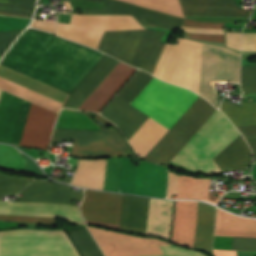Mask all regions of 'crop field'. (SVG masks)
Returning <instances> with one entry per match:
<instances>
[{"label": "crop field", "mask_w": 256, "mask_h": 256, "mask_svg": "<svg viewBox=\"0 0 256 256\" xmlns=\"http://www.w3.org/2000/svg\"><path fill=\"white\" fill-rule=\"evenodd\" d=\"M103 56L50 33L28 28L0 65L70 94Z\"/></svg>", "instance_id": "1"}, {"label": "crop field", "mask_w": 256, "mask_h": 256, "mask_svg": "<svg viewBox=\"0 0 256 256\" xmlns=\"http://www.w3.org/2000/svg\"><path fill=\"white\" fill-rule=\"evenodd\" d=\"M214 110L199 96L145 159L167 164ZM239 135L230 121L216 109L171 162L203 175L220 173L212 159Z\"/></svg>", "instance_id": "2"}, {"label": "crop field", "mask_w": 256, "mask_h": 256, "mask_svg": "<svg viewBox=\"0 0 256 256\" xmlns=\"http://www.w3.org/2000/svg\"><path fill=\"white\" fill-rule=\"evenodd\" d=\"M202 48V43L185 39L167 44L152 75L197 92ZM239 61V53L204 44L198 94L219 108L213 83L239 82Z\"/></svg>", "instance_id": "3"}, {"label": "crop field", "mask_w": 256, "mask_h": 256, "mask_svg": "<svg viewBox=\"0 0 256 256\" xmlns=\"http://www.w3.org/2000/svg\"><path fill=\"white\" fill-rule=\"evenodd\" d=\"M30 181L31 178L28 177L0 173V200L2 195H16ZM71 188L66 185L35 180L20 193L23 194V197L16 202L70 204L71 200H81L83 195L82 189H80V192H77L71 190ZM0 213L59 217L63 220L84 224L78 213V207L72 205L0 201Z\"/></svg>", "instance_id": "4"}, {"label": "crop field", "mask_w": 256, "mask_h": 256, "mask_svg": "<svg viewBox=\"0 0 256 256\" xmlns=\"http://www.w3.org/2000/svg\"><path fill=\"white\" fill-rule=\"evenodd\" d=\"M164 33L149 30L106 32L98 50L152 73L166 43Z\"/></svg>", "instance_id": "5"}, {"label": "crop field", "mask_w": 256, "mask_h": 256, "mask_svg": "<svg viewBox=\"0 0 256 256\" xmlns=\"http://www.w3.org/2000/svg\"><path fill=\"white\" fill-rule=\"evenodd\" d=\"M0 256H79L64 231L0 232Z\"/></svg>", "instance_id": "6"}, {"label": "crop field", "mask_w": 256, "mask_h": 256, "mask_svg": "<svg viewBox=\"0 0 256 256\" xmlns=\"http://www.w3.org/2000/svg\"><path fill=\"white\" fill-rule=\"evenodd\" d=\"M189 91L154 77L131 105L170 128L197 97Z\"/></svg>", "instance_id": "7"}, {"label": "crop field", "mask_w": 256, "mask_h": 256, "mask_svg": "<svg viewBox=\"0 0 256 256\" xmlns=\"http://www.w3.org/2000/svg\"><path fill=\"white\" fill-rule=\"evenodd\" d=\"M147 198L124 195L120 229L144 233L148 208ZM173 201H149L145 233L169 239Z\"/></svg>", "instance_id": "8"}, {"label": "crop field", "mask_w": 256, "mask_h": 256, "mask_svg": "<svg viewBox=\"0 0 256 256\" xmlns=\"http://www.w3.org/2000/svg\"><path fill=\"white\" fill-rule=\"evenodd\" d=\"M73 139L71 155L79 157H109L133 155L118 130L100 131L54 129L52 140Z\"/></svg>", "instance_id": "9"}, {"label": "crop field", "mask_w": 256, "mask_h": 256, "mask_svg": "<svg viewBox=\"0 0 256 256\" xmlns=\"http://www.w3.org/2000/svg\"><path fill=\"white\" fill-rule=\"evenodd\" d=\"M144 29L131 16L72 14L70 24L58 23L56 34L97 48L105 31Z\"/></svg>", "instance_id": "10"}, {"label": "crop field", "mask_w": 256, "mask_h": 256, "mask_svg": "<svg viewBox=\"0 0 256 256\" xmlns=\"http://www.w3.org/2000/svg\"><path fill=\"white\" fill-rule=\"evenodd\" d=\"M105 256H142L162 254L158 245L169 244L158 239L139 238L87 226Z\"/></svg>", "instance_id": "11"}, {"label": "crop field", "mask_w": 256, "mask_h": 256, "mask_svg": "<svg viewBox=\"0 0 256 256\" xmlns=\"http://www.w3.org/2000/svg\"><path fill=\"white\" fill-rule=\"evenodd\" d=\"M84 14H129L134 16L142 26L165 27L172 29H180L184 20L183 18L118 0H105L103 9H86ZM142 15L145 17L142 18Z\"/></svg>", "instance_id": "12"}, {"label": "crop field", "mask_w": 256, "mask_h": 256, "mask_svg": "<svg viewBox=\"0 0 256 256\" xmlns=\"http://www.w3.org/2000/svg\"><path fill=\"white\" fill-rule=\"evenodd\" d=\"M20 98L11 95L2 90L0 95V142H8L13 128L15 117L20 104ZM30 102L21 100L19 111L16 117L14 128L11 134L10 142L19 145Z\"/></svg>", "instance_id": "13"}, {"label": "crop field", "mask_w": 256, "mask_h": 256, "mask_svg": "<svg viewBox=\"0 0 256 256\" xmlns=\"http://www.w3.org/2000/svg\"><path fill=\"white\" fill-rule=\"evenodd\" d=\"M123 195L85 190L81 212L85 220L119 224Z\"/></svg>", "instance_id": "14"}, {"label": "crop field", "mask_w": 256, "mask_h": 256, "mask_svg": "<svg viewBox=\"0 0 256 256\" xmlns=\"http://www.w3.org/2000/svg\"><path fill=\"white\" fill-rule=\"evenodd\" d=\"M57 115L32 103L20 146L47 149L52 125Z\"/></svg>", "instance_id": "15"}, {"label": "crop field", "mask_w": 256, "mask_h": 256, "mask_svg": "<svg viewBox=\"0 0 256 256\" xmlns=\"http://www.w3.org/2000/svg\"><path fill=\"white\" fill-rule=\"evenodd\" d=\"M135 70L119 62L79 109L99 112Z\"/></svg>", "instance_id": "16"}, {"label": "crop field", "mask_w": 256, "mask_h": 256, "mask_svg": "<svg viewBox=\"0 0 256 256\" xmlns=\"http://www.w3.org/2000/svg\"><path fill=\"white\" fill-rule=\"evenodd\" d=\"M184 16L249 18L233 0H179Z\"/></svg>", "instance_id": "17"}, {"label": "crop field", "mask_w": 256, "mask_h": 256, "mask_svg": "<svg viewBox=\"0 0 256 256\" xmlns=\"http://www.w3.org/2000/svg\"><path fill=\"white\" fill-rule=\"evenodd\" d=\"M166 185L167 167L140 162L136 170L133 194L164 198Z\"/></svg>", "instance_id": "18"}, {"label": "crop field", "mask_w": 256, "mask_h": 256, "mask_svg": "<svg viewBox=\"0 0 256 256\" xmlns=\"http://www.w3.org/2000/svg\"><path fill=\"white\" fill-rule=\"evenodd\" d=\"M197 206L198 202L176 201L171 237L172 243L193 248Z\"/></svg>", "instance_id": "19"}, {"label": "crop field", "mask_w": 256, "mask_h": 256, "mask_svg": "<svg viewBox=\"0 0 256 256\" xmlns=\"http://www.w3.org/2000/svg\"><path fill=\"white\" fill-rule=\"evenodd\" d=\"M101 114L117 124L127 141L148 118L117 96Z\"/></svg>", "instance_id": "20"}, {"label": "crop field", "mask_w": 256, "mask_h": 256, "mask_svg": "<svg viewBox=\"0 0 256 256\" xmlns=\"http://www.w3.org/2000/svg\"><path fill=\"white\" fill-rule=\"evenodd\" d=\"M118 62L116 59L105 55L69 95L63 107L78 109Z\"/></svg>", "instance_id": "21"}, {"label": "crop field", "mask_w": 256, "mask_h": 256, "mask_svg": "<svg viewBox=\"0 0 256 256\" xmlns=\"http://www.w3.org/2000/svg\"><path fill=\"white\" fill-rule=\"evenodd\" d=\"M215 235L256 237V219L235 217L218 209Z\"/></svg>", "instance_id": "22"}, {"label": "crop field", "mask_w": 256, "mask_h": 256, "mask_svg": "<svg viewBox=\"0 0 256 256\" xmlns=\"http://www.w3.org/2000/svg\"><path fill=\"white\" fill-rule=\"evenodd\" d=\"M213 160L221 171L243 168L251 164V151L240 135Z\"/></svg>", "instance_id": "23"}, {"label": "crop field", "mask_w": 256, "mask_h": 256, "mask_svg": "<svg viewBox=\"0 0 256 256\" xmlns=\"http://www.w3.org/2000/svg\"><path fill=\"white\" fill-rule=\"evenodd\" d=\"M215 207L199 202L194 248L212 256Z\"/></svg>", "instance_id": "24"}, {"label": "crop field", "mask_w": 256, "mask_h": 256, "mask_svg": "<svg viewBox=\"0 0 256 256\" xmlns=\"http://www.w3.org/2000/svg\"><path fill=\"white\" fill-rule=\"evenodd\" d=\"M167 130V128L148 118L128 142L137 155L144 158Z\"/></svg>", "instance_id": "25"}, {"label": "crop field", "mask_w": 256, "mask_h": 256, "mask_svg": "<svg viewBox=\"0 0 256 256\" xmlns=\"http://www.w3.org/2000/svg\"><path fill=\"white\" fill-rule=\"evenodd\" d=\"M106 160H79L71 184L102 190Z\"/></svg>", "instance_id": "26"}, {"label": "crop field", "mask_w": 256, "mask_h": 256, "mask_svg": "<svg viewBox=\"0 0 256 256\" xmlns=\"http://www.w3.org/2000/svg\"><path fill=\"white\" fill-rule=\"evenodd\" d=\"M221 111L236 127L256 125V103L241 102V107H235L223 102Z\"/></svg>", "instance_id": "27"}, {"label": "crop field", "mask_w": 256, "mask_h": 256, "mask_svg": "<svg viewBox=\"0 0 256 256\" xmlns=\"http://www.w3.org/2000/svg\"><path fill=\"white\" fill-rule=\"evenodd\" d=\"M184 26H192V27H203V28H216V29H223L224 23H201L197 21L187 20L185 19L183 22ZM182 29H186L188 32L194 33H204V34H223V30H216V29H202V28H191V27H184ZM185 32L184 34L190 35L189 38L192 39H199V40H206V41H213V42H224L223 35H204V34H194Z\"/></svg>", "instance_id": "28"}, {"label": "crop field", "mask_w": 256, "mask_h": 256, "mask_svg": "<svg viewBox=\"0 0 256 256\" xmlns=\"http://www.w3.org/2000/svg\"><path fill=\"white\" fill-rule=\"evenodd\" d=\"M81 256H103L87 228L67 230Z\"/></svg>", "instance_id": "29"}, {"label": "crop field", "mask_w": 256, "mask_h": 256, "mask_svg": "<svg viewBox=\"0 0 256 256\" xmlns=\"http://www.w3.org/2000/svg\"><path fill=\"white\" fill-rule=\"evenodd\" d=\"M35 3L36 0H0V14L31 18Z\"/></svg>", "instance_id": "30"}, {"label": "crop field", "mask_w": 256, "mask_h": 256, "mask_svg": "<svg viewBox=\"0 0 256 256\" xmlns=\"http://www.w3.org/2000/svg\"><path fill=\"white\" fill-rule=\"evenodd\" d=\"M146 73L138 71L117 96L124 99L128 103H131L153 78V76Z\"/></svg>", "instance_id": "31"}, {"label": "crop field", "mask_w": 256, "mask_h": 256, "mask_svg": "<svg viewBox=\"0 0 256 256\" xmlns=\"http://www.w3.org/2000/svg\"><path fill=\"white\" fill-rule=\"evenodd\" d=\"M25 161L12 146L0 144V167L7 170L23 171Z\"/></svg>", "instance_id": "32"}, {"label": "crop field", "mask_w": 256, "mask_h": 256, "mask_svg": "<svg viewBox=\"0 0 256 256\" xmlns=\"http://www.w3.org/2000/svg\"><path fill=\"white\" fill-rule=\"evenodd\" d=\"M179 17H183L178 0H123ZM184 18V17H183Z\"/></svg>", "instance_id": "33"}, {"label": "crop field", "mask_w": 256, "mask_h": 256, "mask_svg": "<svg viewBox=\"0 0 256 256\" xmlns=\"http://www.w3.org/2000/svg\"><path fill=\"white\" fill-rule=\"evenodd\" d=\"M120 162L121 158L107 159L103 190L117 192Z\"/></svg>", "instance_id": "34"}, {"label": "crop field", "mask_w": 256, "mask_h": 256, "mask_svg": "<svg viewBox=\"0 0 256 256\" xmlns=\"http://www.w3.org/2000/svg\"><path fill=\"white\" fill-rule=\"evenodd\" d=\"M241 89L244 94L256 93V65L241 67Z\"/></svg>", "instance_id": "35"}, {"label": "crop field", "mask_w": 256, "mask_h": 256, "mask_svg": "<svg viewBox=\"0 0 256 256\" xmlns=\"http://www.w3.org/2000/svg\"><path fill=\"white\" fill-rule=\"evenodd\" d=\"M209 182L207 178H195L192 199H203L216 204L219 197L212 196V192H208Z\"/></svg>", "instance_id": "36"}, {"label": "crop field", "mask_w": 256, "mask_h": 256, "mask_svg": "<svg viewBox=\"0 0 256 256\" xmlns=\"http://www.w3.org/2000/svg\"><path fill=\"white\" fill-rule=\"evenodd\" d=\"M194 178L180 175L177 198L191 199L193 191Z\"/></svg>", "instance_id": "37"}, {"label": "crop field", "mask_w": 256, "mask_h": 256, "mask_svg": "<svg viewBox=\"0 0 256 256\" xmlns=\"http://www.w3.org/2000/svg\"><path fill=\"white\" fill-rule=\"evenodd\" d=\"M164 255L156 256H205L199 252L190 251L185 248H178L173 245L160 246Z\"/></svg>", "instance_id": "38"}, {"label": "crop field", "mask_w": 256, "mask_h": 256, "mask_svg": "<svg viewBox=\"0 0 256 256\" xmlns=\"http://www.w3.org/2000/svg\"><path fill=\"white\" fill-rule=\"evenodd\" d=\"M231 249L243 251H256V238L233 237Z\"/></svg>", "instance_id": "39"}, {"label": "crop field", "mask_w": 256, "mask_h": 256, "mask_svg": "<svg viewBox=\"0 0 256 256\" xmlns=\"http://www.w3.org/2000/svg\"><path fill=\"white\" fill-rule=\"evenodd\" d=\"M22 31L23 30L0 33V56L5 53L7 48Z\"/></svg>", "instance_id": "40"}, {"label": "crop field", "mask_w": 256, "mask_h": 256, "mask_svg": "<svg viewBox=\"0 0 256 256\" xmlns=\"http://www.w3.org/2000/svg\"><path fill=\"white\" fill-rule=\"evenodd\" d=\"M0 220H14V221H25V222L55 223L54 219H52V218L24 217V216H13V215H2V214H0Z\"/></svg>", "instance_id": "41"}, {"label": "crop field", "mask_w": 256, "mask_h": 256, "mask_svg": "<svg viewBox=\"0 0 256 256\" xmlns=\"http://www.w3.org/2000/svg\"><path fill=\"white\" fill-rule=\"evenodd\" d=\"M242 50H256V33L242 34Z\"/></svg>", "instance_id": "42"}, {"label": "crop field", "mask_w": 256, "mask_h": 256, "mask_svg": "<svg viewBox=\"0 0 256 256\" xmlns=\"http://www.w3.org/2000/svg\"><path fill=\"white\" fill-rule=\"evenodd\" d=\"M226 46L240 51V33H226Z\"/></svg>", "instance_id": "43"}, {"label": "crop field", "mask_w": 256, "mask_h": 256, "mask_svg": "<svg viewBox=\"0 0 256 256\" xmlns=\"http://www.w3.org/2000/svg\"><path fill=\"white\" fill-rule=\"evenodd\" d=\"M178 178H179L178 174L169 172V185H168L167 198H171V194H176Z\"/></svg>", "instance_id": "44"}, {"label": "crop field", "mask_w": 256, "mask_h": 256, "mask_svg": "<svg viewBox=\"0 0 256 256\" xmlns=\"http://www.w3.org/2000/svg\"><path fill=\"white\" fill-rule=\"evenodd\" d=\"M55 24H56V22L34 20L31 24V26L39 28V29L54 32Z\"/></svg>", "instance_id": "45"}, {"label": "crop field", "mask_w": 256, "mask_h": 256, "mask_svg": "<svg viewBox=\"0 0 256 256\" xmlns=\"http://www.w3.org/2000/svg\"><path fill=\"white\" fill-rule=\"evenodd\" d=\"M21 156L26 161L25 164V170H29L35 173L43 174L42 171L39 169V167L36 165L34 161H32L30 158H28L26 155L21 154Z\"/></svg>", "instance_id": "46"}, {"label": "crop field", "mask_w": 256, "mask_h": 256, "mask_svg": "<svg viewBox=\"0 0 256 256\" xmlns=\"http://www.w3.org/2000/svg\"><path fill=\"white\" fill-rule=\"evenodd\" d=\"M238 130L244 135L245 139L256 137V126L240 127Z\"/></svg>", "instance_id": "47"}, {"label": "crop field", "mask_w": 256, "mask_h": 256, "mask_svg": "<svg viewBox=\"0 0 256 256\" xmlns=\"http://www.w3.org/2000/svg\"><path fill=\"white\" fill-rule=\"evenodd\" d=\"M86 223L89 224V225H93V226L116 229V230L119 231V225H115V224L98 223V222H90V221H86Z\"/></svg>", "instance_id": "48"}, {"label": "crop field", "mask_w": 256, "mask_h": 256, "mask_svg": "<svg viewBox=\"0 0 256 256\" xmlns=\"http://www.w3.org/2000/svg\"><path fill=\"white\" fill-rule=\"evenodd\" d=\"M216 256H236V251L214 250Z\"/></svg>", "instance_id": "49"}, {"label": "crop field", "mask_w": 256, "mask_h": 256, "mask_svg": "<svg viewBox=\"0 0 256 256\" xmlns=\"http://www.w3.org/2000/svg\"><path fill=\"white\" fill-rule=\"evenodd\" d=\"M247 143L249 144V146L251 147L252 151H253V155H254V160L253 163L256 162V138L255 139H249L246 140Z\"/></svg>", "instance_id": "50"}, {"label": "crop field", "mask_w": 256, "mask_h": 256, "mask_svg": "<svg viewBox=\"0 0 256 256\" xmlns=\"http://www.w3.org/2000/svg\"><path fill=\"white\" fill-rule=\"evenodd\" d=\"M98 115V114H97ZM95 118V120H98V121H100L104 126L105 125H107V124H112V123H110L109 121H107V120H105L104 118H102L101 116H96V117H94ZM113 125V124H112ZM113 127H116L115 125H113Z\"/></svg>", "instance_id": "51"}, {"label": "crop field", "mask_w": 256, "mask_h": 256, "mask_svg": "<svg viewBox=\"0 0 256 256\" xmlns=\"http://www.w3.org/2000/svg\"><path fill=\"white\" fill-rule=\"evenodd\" d=\"M252 177L254 178V180H256V164L253 165Z\"/></svg>", "instance_id": "52"}, {"label": "crop field", "mask_w": 256, "mask_h": 256, "mask_svg": "<svg viewBox=\"0 0 256 256\" xmlns=\"http://www.w3.org/2000/svg\"><path fill=\"white\" fill-rule=\"evenodd\" d=\"M92 1H100V2H104V0H92Z\"/></svg>", "instance_id": "53"}, {"label": "crop field", "mask_w": 256, "mask_h": 256, "mask_svg": "<svg viewBox=\"0 0 256 256\" xmlns=\"http://www.w3.org/2000/svg\"><path fill=\"white\" fill-rule=\"evenodd\" d=\"M1 91V90H0ZM2 92V91H1Z\"/></svg>", "instance_id": "54"}]
</instances>
